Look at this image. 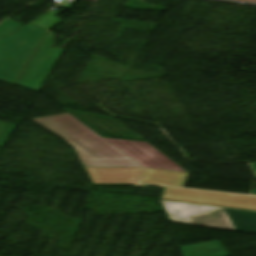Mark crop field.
I'll list each match as a JSON object with an SVG mask.
<instances>
[{"label": "crop field", "instance_id": "obj_10", "mask_svg": "<svg viewBox=\"0 0 256 256\" xmlns=\"http://www.w3.org/2000/svg\"><path fill=\"white\" fill-rule=\"evenodd\" d=\"M2 123V122H0ZM6 123H2L0 126V130L2 129L3 125ZM10 124H7L6 127L4 128V130L2 131V133L0 134V140L2 138V136L4 135L5 131L7 130L8 126ZM15 128L14 125L11 126V128L9 129V131L7 132V134L5 135L4 139L2 140V142L0 143V148H2V146L4 145V143L6 142V140L8 139L9 135L11 134V132L13 131V129Z\"/></svg>", "mask_w": 256, "mask_h": 256}, {"label": "crop field", "instance_id": "obj_11", "mask_svg": "<svg viewBox=\"0 0 256 256\" xmlns=\"http://www.w3.org/2000/svg\"><path fill=\"white\" fill-rule=\"evenodd\" d=\"M252 167H253V169H254L255 172H256V164H253Z\"/></svg>", "mask_w": 256, "mask_h": 256}, {"label": "crop field", "instance_id": "obj_4", "mask_svg": "<svg viewBox=\"0 0 256 256\" xmlns=\"http://www.w3.org/2000/svg\"><path fill=\"white\" fill-rule=\"evenodd\" d=\"M161 199L256 210V196L165 187Z\"/></svg>", "mask_w": 256, "mask_h": 256}, {"label": "crop field", "instance_id": "obj_1", "mask_svg": "<svg viewBox=\"0 0 256 256\" xmlns=\"http://www.w3.org/2000/svg\"><path fill=\"white\" fill-rule=\"evenodd\" d=\"M33 121L73 145L84 167H144L187 172L147 143L101 138L68 113Z\"/></svg>", "mask_w": 256, "mask_h": 256}, {"label": "crop field", "instance_id": "obj_7", "mask_svg": "<svg viewBox=\"0 0 256 256\" xmlns=\"http://www.w3.org/2000/svg\"><path fill=\"white\" fill-rule=\"evenodd\" d=\"M182 256H229L218 242H208L181 247Z\"/></svg>", "mask_w": 256, "mask_h": 256}, {"label": "crop field", "instance_id": "obj_8", "mask_svg": "<svg viewBox=\"0 0 256 256\" xmlns=\"http://www.w3.org/2000/svg\"><path fill=\"white\" fill-rule=\"evenodd\" d=\"M235 230L256 233V213L225 209Z\"/></svg>", "mask_w": 256, "mask_h": 256}, {"label": "crop field", "instance_id": "obj_9", "mask_svg": "<svg viewBox=\"0 0 256 256\" xmlns=\"http://www.w3.org/2000/svg\"><path fill=\"white\" fill-rule=\"evenodd\" d=\"M19 27H21L20 23L10 19L6 20L5 22L0 24V37L12 33Z\"/></svg>", "mask_w": 256, "mask_h": 256}, {"label": "crop field", "instance_id": "obj_2", "mask_svg": "<svg viewBox=\"0 0 256 256\" xmlns=\"http://www.w3.org/2000/svg\"><path fill=\"white\" fill-rule=\"evenodd\" d=\"M51 11L0 39V80L39 91L63 50L47 48L49 29L61 22Z\"/></svg>", "mask_w": 256, "mask_h": 256}, {"label": "crop field", "instance_id": "obj_12", "mask_svg": "<svg viewBox=\"0 0 256 256\" xmlns=\"http://www.w3.org/2000/svg\"><path fill=\"white\" fill-rule=\"evenodd\" d=\"M252 195H256V191H254V192L252 193Z\"/></svg>", "mask_w": 256, "mask_h": 256}, {"label": "crop field", "instance_id": "obj_3", "mask_svg": "<svg viewBox=\"0 0 256 256\" xmlns=\"http://www.w3.org/2000/svg\"><path fill=\"white\" fill-rule=\"evenodd\" d=\"M172 221L234 230L223 208L162 200Z\"/></svg>", "mask_w": 256, "mask_h": 256}, {"label": "crop field", "instance_id": "obj_6", "mask_svg": "<svg viewBox=\"0 0 256 256\" xmlns=\"http://www.w3.org/2000/svg\"><path fill=\"white\" fill-rule=\"evenodd\" d=\"M189 174L146 169L140 182L183 187Z\"/></svg>", "mask_w": 256, "mask_h": 256}, {"label": "crop field", "instance_id": "obj_5", "mask_svg": "<svg viewBox=\"0 0 256 256\" xmlns=\"http://www.w3.org/2000/svg\"><path fill=\"white\" fill-rule=\"evenodd\" d=\"M143 168H86L93 184H136Z\"/></svg>", "mask_w": 256, "mask_h": 256}]
</instances>
